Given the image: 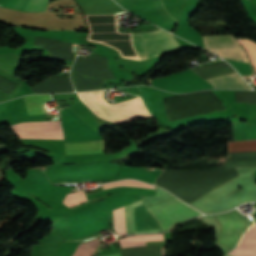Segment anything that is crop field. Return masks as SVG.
<instances>
[{
  "mask_svg": "<svg viewBox=\"0 0 256 256\" xmlns=\"http://www.w3.org/2000/svg\"><path fill=\"white\" fill-rule=\"evenodd\" d=\"M135 233L162 231L142 200L133 203ZM132 203L113 210L115 231L118 234L134 233Z\"/></svg>",
  "mask_w": 256,
  "mask_h": 256,
  "instance_id": "8a807250",
  "label": "crop field"
},
{
  "mask_svg": "<svg viewBox=\"0 0 256 256\" xmlns=\"http://www.w3.org/2000/svg\"><path fill=\"white\" fill-rule=\"evenodd\" d=\"M133 36L141 60L180 50V46L172 35L162 29L147 33H133Z\"/></svg>",
  "mask_w": 256,
  "mask_h": 256,
  "instance_id": "ac0d7876",
  "label": "crop field"
},
{
  "mask_svg": "<svg viewBox=\"0 0 256 256\" xmlns=\"http://www.w3.org/2000/svg\"><path fill=\"white\" fill-rule=\"evenodd\" d=\"M162 229H168L185 219L201 215L199 211L175 198L149 208Z\"/></svg>",
  "mask_w": 256,
  "mask_h": 256,
  "instance_id": "34b2d1b8",
  "label": "crop field"
},
{
  "mask_svg": "<svg viewBox=\"0 0 256 256\" xmlns=\"http://www.w3.org/2000/svg\"><path fill=\"white\" fill-rule=\"evenodd\" d=\"M19 138L63 139L59 121L25 122L10 126Z\"/></svg>",
  "mask_w": 256,
  "mask_h": 256,
  "instance_id": "412701ff",
  "label": "crop field"
},
{
  "mask_svg": "<svg viewBox=\"0 0 256 256\" xmlns=\"http://www.w3.org/2000/svg\"><path fill=\"white\" fill-rule=\"evenodd\" d=\"M205 49L225 58L248 60L233 35L202 36Z\"/></svg>",
  "mask_w": 256,
  "mask_h": 256,
  "instance_id": "f4fd0767",
  "label": "crop field"
},
{
  "mask_svg": "<svg viewBox=\"0 0 256 256\" xmlns=\"http://www.w3.org/2000/svg\"><path fill=\"white\" fill-rule=\"evenodd\" d=\"M222 228L219 242L234 248L242 235L244 223L237 213L218 217Z\"/></svg>",
  "mask_w": 256,
  "mask_h": 256,
  "instance_id": "dd49c442",
  "label": "crop field"
},
{
  "mask_svg": "<svg viewBox=\"0 0 256 256\" xmlns=\"http://www.w3.org/2000/svg\"><path fill=\"white\" fill-rule=\"evenodd\" d=\"M205 80L215 88L251 89L237 73L205 78Z\"/></svg>",
  "mask_w": 256,
  "mask_h": 256,
  "instance_id": "e52e79f7",
  "label": "crop field"
},
{
  "mask_svg": "<svg viewBox=\"0 0 256 256\" xmlns=\"http://www.w3.org/2000/svg\"><path fill=\"white\" fill-rule=\"evenodd\" d=\"M67 154L95 153L105 151L104 140L65 143Z\"/></svg>",
  "mask_w": 256,
  "mask_h": 256,
  "instance_id": "d8731c3e",
  "label": "crop field"
},
{
  "mask_svg": "<svg viewBox=\"0 0 256 256\" xmlns=\"http://www.w3.org/2000/svg\"><path fill=\"white\" fill-rule=\"evenodd\" d=\"M150 240H164V237H163V234L133 235V236L123 237L118 241L121 244V248H125V247L143 246L145 245V241H150ZM163 248H162V253H163ZM108 256H120V253L108 255ZM163 256H164V253H163Z\"/></svg>",
  "mask_w": 256,
  "mask_h": 256,
  "instance_id": "5a996713",
  "label": "crop field"
},
{
  "mask_svg": "<svg viewBox=\"0 0 256 256\" xmlns=\"http://www.w3.org/2000/svg\"><path fill=\"white\" fill-rule=\"evenodd\" d=\"M29 114H44L46 109L44 102L51 100L50 95H33L23 97Z\"/></svg>",
  "mask_w": 256,
  "mask_h": 256,
  "instance_id": "3316defc",
  "label": "crop field"
},
{
  "mask_svg": "<svg viewBox=\"0 0 256 256\" xmlns=\"http://www.w3.org/2000/svg\"><path fill=\"white\" fill-rule=\"evenodd\" d=\"M30 0H18L12 9L23 11ZM50 0H31L24 12H42Z\"/></svg>",
  "mask_w": 256,
  "mask_h": 256,
  "instance_id": "28ad6ade",
  "label": "crop field"
},
{
  "mask_svg": "<svg viewBox=\"0 0 256 256\" xmlns=\"http://www.w3.org/2000/svg\"><path fill=\"white\" fill-rule=\"evenodd\" d=\"M256 151L255 141H239L228 143V153Z\"/></svg>",
  "mask_w": 256,
  "mask_h": 256,
  "instance_id": "d1516ede",
  "label": "crop field"
},
{
  "mask_svg": "<svg viewBox=\"0 0 256 256\" xmlns=\"http://www.w3.org/2000/svg\"><path fill=\"white\" fill-rule=\"evenodd\" d=\"M240 41L243 47L247 50V53L251 59V62L254 65V68L256 70V43L248 39L240 40Z\"/></svg>",
  "mask_w": 256,
  "mask_h": 256,
  "instance_id": "22f410ed",
  "label": "crop field"
},
{
  "mask_svg": "<svg viewBox=\"0 0 256 256\" xmlns=\"http://www.w3.org/2000/svg\"><path fill=\"white\" fill-rule=\"evenodd\" d=\"M119 185H133V186H145V187H153L152 185L137 181V180H121V181H115L107 184H103V188L111 187V186H119Z\"/></svg>",
  "mask_w": 256,
  "mask_h": 256,
  "instance_id": "cbeb9de0",
  "label": "crop field"
},
{
  "mask_svg": "<svg viewBox=\"0 0 256 256\" xmlns=\"http://www.w3.org/2000/svg\"><path fill=\"white\" fill-rule=\"evenodd\" d=\"M75 190H78V189L70 190L69 192H71V191H75Z\"/></svg>",
  "mask_w": 256,
  "mask_h": 256,
  "instance_id": "5142ce71",
  "label": "crop field"
},
{
  "mask_svg": "<svg viewBox=\"0 0 256 256\" xmlns=\"http://www.w3.org/2000/svg\"><path fill=\"white\" fill-rule=\"evenodd\" d=\"M227 256H230V255H227Z\"/></svg>",
  "mask_w": 256,
  "mask_h": 256,
  "instance_id": "d9b57169",
  "label": "crop field"
},
{
  "mask_svg": "<svg viewBox=\"0 0 256 256\" xmlns=\"http://www.w3.org/2000/svg\"><path fill=\"white\" fill-rule=\"evenodd\" d=\"M75 45V44H74Z\"/></svg>",
  "mask_w": 256,
  "mask_h": 256,
  "instance_id": "733c2abd",
  "label": "crop field"
}]
</instances>
